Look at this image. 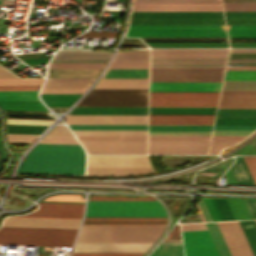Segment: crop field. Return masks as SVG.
Here are the masks:
<instances>
[{"label":"crop field","mask_w":256,"mask_h":256,"mask_svg":"<svg viewBox=\"0 0 256 256\" xmlns=\"http://www.w3.org/2000/svg\"><path fill=\"white\" fill-rule=\"evenodd\" d=\"M117 55H149V50L118 52ZM149 57H115L113 61H148Z\"/></svg>","instance_id":"crop-field-47"},{"label":"crop field","mask_w":256,"mask_h":256,"mask_svg":"<svg viewBox=\"0 0 256 256\" xmlns=\"http://www.w3.org/2000/svg\"><path fill=\"white\" fill-rule=\"evenodd\" d=\"M253 218L256 219V200L244 199Z\"/></svg>","instance_id":"crop-field-67"},{"label":"crop field","mask_w":256,"mask_h":256,"mask_svg":"<svg viewBox=\"0 0 256 256\" xmlns=\"http://www.w3.org/2000/svg\"><path fill=\"white\" fill-rule=\"evenodd\" d=\"M256 183V157H243Z\"/></svg>","instance_id":"crop-field-63"},{"label":"crop field","mask_w":256,"mask_h":256,"mask_svg":"<svg viewBox=\"0 0 256 256\" xmlns=\"http://www.w3.org/2000/svg\"><path fill=\"white\" fill-rule=\"evenodd\" d=\"M129 24L224 25L223 19H131Z\"/></svg>","instance_id":"crop-field-22"},{"label":"crop field","mask_w":256,"mask_h":256,"mask_svg":"<svg viewBox=\"0 0 256 256\" xmlns=\"http://www.w3.org/2000/svg\"><path fill=\"white\" fill-rule=\"evenodd\" d=\"M84 90L85 89H42L41 93H83Z\"/></svg>","instance_id":"crop-field-64"},{"label":"crop field","mask_w":256,"mask_h":256,"mask_svg":"<svg viewBox=\"0 0 256 256\" xmlns=\"http://www.w3.org/2000/svg\"><path fill=\"white\" fill-rule=\"evenodd\" d=\"M68 124H147V116L67 115Z\"/></svg>","instance_id":"crop-field-15"},{"label":"crop field","mask_w":256,"mask_h":256,"mask_svg":"<svg viewBox=\"0 0 256 256\" xmlns=\"http://www.w3.org/2000/svg\"><path fill=\"white\" fill-rule=\"evenodd\" d=\"M89 200H155L153 197H143V198H129V197H110V196H93Z\"/></svg>","instance_id":"crop-field-57"},{"label":"crop field","mask_w":256,"mask_h":256,"mask_svg":"<svg viewBox=\"0 0 256 256\" xmlns=\"http://www.w3.org/2000/svg\"><path fill=\"white\" fill-rule=\"evenodd\" d=\"M101 70L102 69H49V77H97Z\"/></svg>","instance_id":"crop-field-27"},{"label":"crop field","mask_w":256,"mask_h":256,"mask_svg":"<svg viewBox=\"0 0 256 256\" xmlns=\"http://www.w3.org/2000/svg\"><path fill=\"white\" fill-rule=\"evenodd\" d=\"M39 86H3L0 90H38Z\"/></svg>","instance_id":"crop-field-66"},{"label":"crop field","mask_w":256,"mask_h":256,"mask_svg":"<svg viewBox=\"0 0 256 256\" xmlns=\"http://www.w3.org/2000/svg\"><path fill=\"white\" fill-rule=\"evenodd\" d=\"M226 181L228 184H237L230 169L227 170V172L224 174Z\"/></svg>","instance_id":"crop-field-73"},{"label":"crop field","mask_w":256,"mask_h":256,"mask_svg":"<svg viewBox=\"0 0 256 256\" xmlns=\"http://www.w3.org/2000/svg\"><path fill=\"white\" fill-rule=\"evenodd\" d=\"M40 143L78 144L73 136L47 135Z\"/></svg>","instance_id":"crop-field-48"},{"label":"crop field","mask_w":256,"mask_h":256,"mask_svg":"<svg viewBox=\"0 0 256 256\" xmlns=\"http://www.w3.org/2000/svg\"><path fill=\"white\" fill-rule=\"evenodd\" d=\"M0 101H39L37 91H0Z\"/></svg>","instance_id":"crop-field-31"},{"label":"crop field","mask_w":256,"mask_h":256,"mask_svg":"<svg viewBox=\"0 0 256 256\" xmlns=\"http://www.w3.org/2000/svg\"><path fill=\"white\" fill-rule=\"evenodd\" d=\"M148 90L91 89L77 106H147Z\"/></svg>","instance_id":"crop-field-7"},{"label":"crop field","mask_w":256,"mask_h":256,"mask_svg":"<svg viewBox=\"0 0 256 256\" xmlns=\"http://www.w3.org/2000/svg\"><path fill=\"white\" fill-rule=\"evenodd\" d=\"M86 216L166 217L158 201H88Z\"/></svg>","instance_id":"crop-field-5"},{"label":"crop field","mask_w":256,"mask_h":256,"mask_svg":"<svg viewBox=\"0 0 256 256\" xmlns=\"http://www.w3.org/2000/svg\"><path fill=\"white\" fill-rule=\"evenodd\" d=\"M143 254L73 253L72 256H142Z\"/></svg>","instance_id":"crop-field-62"},{"label":"crop field","mask_w":256,"mask_h":256,"mask_svg":"<svg viewBox=\"0 0 256 256\" xmlns=\"http://www.w3.org/2000/svg\"><path fill=\"white\" fill-rule=\"evenodd\" d=\"M152 47H228L227 43H147Z\"/></svg>","instance_id":"crop-field-37"},{"label":"crop field","mask_w":256,"mask_h":256,"mask_svg":"<svg viewBox=\"0 0 256 256\" xmlns=\"http://www.w3.org/2000/svg\"><path fill=\"white\" fill-rule=\"evenodd\" d=\"M222 90H256V81H224Z\"/></svg>","instance_id":"crop-field-41"},{"label":"crop field","mask_w":256,"mask_h":256,"mask_svg":"<svg viewBox=\"0 0 256 256\" xmlns=\"http://www.w3.org/2000/svg\"><path fill=\"white\" fill-rule=\"evenodd\" d=\"M231 47H256V43H230Z\"/></svg>","instance_id":"crop-field-74"},{"label":"crop field","mask_w":256,"mask_h":256,"mask_svg":"<svg viewBox=\"0 0 256 256\" xmlns=\"http://www.w3.org/2000/svg\"><path fill=\"white\" fill-rule=\"evenodd\" d=\"M221 82H150V91H219Z\"/></svg>","instance_id":"crop-field-17"},{"label":"crop field","mask_w":256,"mask_h":256,"mask_svg":"<svg viewBox=\"0 0 256 256\" xmlns=\"http://www.w3.org/2000/svg\"><path fill=\"white\" fill-rule=\"evenodd\" d=\"M224 80H256V71H226Z\"/></svg>","instance_id":"crop-field-44"},{"label":"crop field","mask_w":256,"mask_h":256,"mask_svg":"<svg viewBox=\"0 0 256 256\" xmlns=\"http://www.w3.org/2000/svg\"><path fill=\"white\" fill-rule=\"evenodd\" d=\"M256 221V220H255Z\"/></svg>","instance_id":"crop-field-81"},{"label":"crop field","mask_w":256,"mask_h":256,"mask_svg":"<svg viewBox=\"0 0 256 256\" xmlns=\"http://www.w3.org/2000/svg\"><path fill=\"white\" fill-rule=\"evenodd\" d=\"M14 1L15 0H3L2 5H0V7L1 6H13Z\"/></svg>","instance_id":"crop-field-75"},{"label":"crop field","mask_w":256,"mask_h":256,"mask_svg":"<svg viewBox=\"0 0 256 256\" xmlns=\"http://www.w3.org/2000/svg\"><path fill=\"white\" fill-rule=\"evenodd\" d=\"M0 78H18V77L0 66Z\"/></svg>","instance_id":"crop-field-72"},{"label":"crop field","mask_w":256,"mask_h":256,"mask_svg":"<svg viewBox=\"0 0 256 256\" xmlns=\"http://www.w3.org/2000/svg\"><path fill=\"white\" fill-rule=\"evenodd\" d=\"M88 153H146V141H81Z\"/></svg>","instance_id":"crop-field-11"},{"label":"crop field","mask_w":256,"mask_h":256,"mask_svg":"<svg viewBox=\"0 0 256 256\" xmlns=\"http://www.w3.org/2000/svg\"><path fill=\"white\" fill-rule=\"evenodd\" d=\"M81 220L8 217L3 226L78 229Z\"/></svg>","instance_id":"crop-field-16"},{"label":"crop field","mask_w":256,"mask_h":256,"mask_svg":"<svg viewBox=\"0 0 256 256\" xmlns=\"http://www.w3.org/2000/svg\"><path fill=\"white\" fill-rule=\"evenodd\" d=\"M170 234L180 235V227L178 224L172 229Z\"/></svg>","instance_id":"crop-field-76"},{"label":"crop field","mask_w":256,"mask_h":256,"mask_svg":"<svg viewBox=\"0 0 256 256\" xmlns=\"http://www.w3.org/2000/svg\"><path fill=\"white\" fill-rule=\"evenodd\" d=\"M245 237L252 249L254 256H256V223L254 220L238 221Z\"/></svg>","instance_id":"crop-field-35"},{"label":"crop field","mask_w":256,"mask_h":256,"mask_svg":"<svg viewBox=\"0 0 256 256\" xmlns=\"http://www.w3.org/2000/svg\"><path fill=\"white\" fill-rule=\"evenodd\" d=\"M216 107H150V114H214Z\"/></svg>","instance_id":"crop-field-25"},{"label":"crop field","mask_w":256,"mask_h":256,"mask_svg":"<svg viewBox=\"0 0 256 256\" xmlns=\"http://www.w3.org/2000/svg\"><path fill=\"white\" fill-rule=\"evenodd\" d=\"M224 220H233L234 217L225 199L214 198Z\"/></svg>","instance_id":"crop-field-51"},{"label":"crop field","mask_w":256,"mask_h":256,"mask_svg":"<svg viewBox=\"0 0 256 256\" xmlns=\"http://www.w3.org/2000/svg\"><path fill=\"white\" fill-rule=\"evenodd\" d=\"M16 56H17L18 58H20V59L35 57L34 54H21V55H16Z\"/></svg>","instance_id":"crop-field-77"},{"label":"crop field","mask_w":256,"mask_h":256,"mask_svg":"<svg viewBox=\"0 0 256 256\" xmlns=\"http://www.w3.org/2000/svg\"><path fill=\"white\" fill-rule=\"evenodd\" d=\"M209 141H149L148 153L206 154Z\"/></svg>","instance_id":"crop-field-9"},{"label":"crop field","mask_w":256,"mask_h":256,"mask_svg":"<svg viewBox=\"0 0 256 256\" xmlns=\"http://www.w3.org/2000/svg\"><path fill=\"white\" fill-rule=\"evenodd\" d=\"M81 94H41L48 106H70Z\"/></svg>","instance_id":"crop-field-30"},{"label":"crop field","mask_w":256,"mask_h":256,"mask_svg":"<svg viewBox=\"0 0 256 256\" xmlns=\"http://www.w3.org/2000/svg\"><path fill=\"white\" fill-rule=\"evenodd\" d=\"M167 218L85 217L84 220H166Z\"/></svg>","instance_id":"crop-field-55"},{"label":"crop field","mask_w":256,"mask_h":256,"mask_svg":"<svg viewBox=\"0 0 256 256\" xmlns=\"http://www.w3.org/2000/svg\"><path fill=\"white\" fill-rule=\"evenodd\" d=\"M38 135L7 134L8 142L31 143Z\"/></svg>","instance_id":"crop-field-53"},{"label":"crop field","mask_w":256,"mask_h":256,"mask_svg":"<svg viewBox=\"0 0 256 256\" xmlns=\"http://www.w3.org/2000/svg\"><path fill=\"white\" fill-rule=\"evenodd\" d=\"M45 200L84 201V199H81V196L78 195H57L48 197Z\"/></svg>","instance_id":"crop-field-61"},{"label":"crop field","mask_w":256,"mask_h":256,"mask_svg":"<svg viewBox=\"0 0 256 256\" xmlns=\"http://www.w3.org/2000/svg\"><path fill=\"white\" fill-rule=\"evenodd\" d=\"M112 52L94 50L59 51L54 59H109ZM53 61H108V60H53Z\"/></svg>","instance_id":"crop-field-23"},{"label":"crop field","mask_w":256,"mask_h":256,"mask_svg":"<svg viewBox=\"0 0 256 256\" xmlns=\"http://www.w3.org/2000/svg\"><path fill=\"white\" fill-rule=\"evenodd\" d=\"M210 199H211V201H212V203H213V205H214V207H215V209H216V211H217V213H218L220 219L223 220L222 217H221V215H220V212H219V210H218V208H217V206H216V203H215L214 199H213V198H210ZM218 215H217V216H218ZM219 217H218V218H219ZM220 219H219V220H220Z\"/></svg>","instance_id":"crop-field-78"},{"label":"crop field","mask_w":256,"mask_h":256,"mask_svg":"<svg viewBox=\"0 0 256 256\" xmlns=\"http://www.w3.org/2000/svg\"><path fill=\"white\" fill-rule=\"evenodd\" d=\"M69 114L147 115V107H75Z\"/></svg>","instance_id":"crop-field-20"},{"label":"crop field","mask_w":256,"mask_h":256,"mask_svg":"<svg viewBox=\"0 0 256 256\" xmlns=\"http://www.w3.org/2000/svg\"><path fill=\"white\" fill-rule=\"evenodd\" d=\"M1 109L47 110L41 102H0Z\"/></svg>","instance_id":"crop-field-36"},{"label":"crop field","mask_w":256,"mask_h":256,"mask_svg":"<svg viewBox=\"0 0 256 256\" xmlns=\"http://www.w3.org/2000/svg\"><path fill=\"white\" fill-rule=\"evenodd\" d=\"M256 126L215 125L214 130H254Z\"/></svg>","instance_id":"crop-field-58"},{"label":"crop field","mask_w":256,"mask_h":256,"mask_svg":"<svg viewBox=\"0 0 256 256\" xmlns=\"http://www.w3.org/2000/svg\"><path fill=\"white\" fill-rule=\"evenodd\" d=\"M198 204H199V206H200V208H201V210H202V213H203V215H204L205 220H206V221H212L211 218H210V216H209V213H208V211H207V208H206V206H205V204H204L203 199H201V200L198 202Z\"/></svg>","instance_id":"crop-field-71"},{"label":"crop field","mask_w":256,"mask_h":256,"mask_svg":"<svg viewBox=\"0 0 256 256\" xmlns=\"http://www.w3.org/2000/svg\"><path fill=\"white\" fill-rule=\"evenodd\" d=\"M131 18H223L222 12H132Z\"/></svg>","instance_id":"crop-field-21"},{"label":"crop field","mask_w":256,"mask_h":256,"mask_svg":"<svg viewBox=\"0 0 256 256\" xmlns=\"http://www.w3.org/2000/svg\"><path fill=\"white\" fill-rule=\"evenodd\" d=\"M40 209L21 217L81 219L84 204L39 203Z\"/></svg>","instance_id":"crop-field-14"},{"label":"crop field","mask_w":256,"mask_h":256,"mask_svg":"<svg viewBox=\"0 0 256 256\" xmlns=\"http://www.w3.org/2000/svg\"><path fill=\"white\" fill-rule=\"evenodd\" d=\"M218 108H256V91H222Z\"/></svg>","instance_id":"crop-field-18"},{"label":"crop field","mask_w":256,"mask_h":256,"mask_svg":"<svg viewBox=\"0 0 256 256\" xmlns=\"http://www.w3.org/2000/svg\"><path fill=\"white\" fill-rule=\"evenodd\" d=\"M127 37H227L224 26L129 25Z\"/></svg>","instance_id":"crop-field-6"},{"label":"crop field","mask_w":256,"mask_h":256,"mask_svg":"<svg viewBox=\"0 0 256 256\" xmlns=\"http://www.w3.org/2000/svg\"><path fill=\"white\" fill-rule=\"evenodd\" d=\"M215 124L256 125V109H218Z\"/></svg>","instance_id":"crop-field-19"},{"label":"crop field","mask_w":256,"mask_h":256,"mask_svg":"<svg viewBox=\"0 0 256 256\" xmlns=\"http://www.w3.org/2000/svg\"><path fill=\"white\" fill-rule=\"evenodd\" d=\"M78 230L1 227L0 244L71 246Z\"/></svg>","instance_id":"crop-field-3"},{"label":"crop field","mask_w":256,"mask_h":256,"mask_svg":"<svg viewBox=\"0 0 256 256\" xmlns=\"http://www.w3.org/2000/svg\"><path fill=\"white\" fill-rule=\"evenodd\" d=\"M186 256H218L207 230L182 232Z\"/></svg>","instance_id":"crop-field-10"},{"label":"crop field","mask_w":256,"mask_h":256,"mask_svg":"<svg viewBox=\"0 0 256 256\" xmlns=\"http://www.w3.org/2000/svg\"><path fill=\"white\" fill-rule=\"evenodd\" d=\"M79 140H146V136H77Z\"/></svg>","instance_id":"crop-field-45"},{"label":"crop field","mask_w":256,"mask_h":256,"mask_svg":"<svg viewBox=\"0 0 256 256\" xmlns=\"http://www.w3.org/2000/svg\"><path fill=\"white\" fill-rule=\"evenodd\" d=\"M228 49H151V67H224Z\"/></svg>","instance_id":"crop-field-2"},{"label":"crop field","mask_w":256,"mask_h":256,"mask_svg":"<svg viewBox=\"0 0 256 256\" xmlns=\"http://www.w3.org/2000/svg\"><path fill=\"white\" fill-rule=\"evenodd\" d=\"M212 126H149V131H211Z\"/></svg>","instance_id":"crop-field-38"},{"label":"crop field","mask_w":256,"mask_h":256,"mask_svg":"<svg viewBox=\"0 0 256 256\" xmlns=\"http://www.w3.org/2000/svg\"><path fill=\"white\" fill-rule=\"evenodd\" d=\"M102 78H148V69H107Z\"/></svg>","instance_id":"crop-field-28"},{"label":"crop field","mask_w":256,"mask_h":256,"mask_svg":"<svg viewBox=\"0 0 256 256\" xmlns=\"http://www.w3.org/2000/svg\"><path fill=\"white\" fill-rule=\"evenodd\" d=\"M134 2L221 3L220 0H134Z\"/></svg>","instance_id":"crop-field-54"},{"label":"crop field","mask_w":256,"mask_h":256,"mask_svg":"<svg viewBox=\"0 0 256 256\" xmlns=\"http://www.w3.org/2000/svg\"><path fill=\"white\" fill-rule=\"evenodd\" d=\"M232 256H253L237 221L217 222Z\"/></svg>","instance_id":"crop-field-13"},{"label":"crop field","mask_w":256,"mask_h":256,"mask_svg":"<svg viewBox=\"0 0 256 256\" xmlns=\"http://www.w3.org/2000/svg\"><path fill=\"white\" fill-rule=\"evenodd\" d=\"M227 25H256V19H226Z\"/></svg>","instance_id":"crop-field-60"},{"label":"crop field","mask_w":256,"mask_h":256,"mask_svg":"<svg viewBox=\"0 0 256 256\" xmlns=\"http://www.w3.org/2000/svg\"><path fill=\"white\" fill-rule=\"evenodd\" d=\"M151 173V168H88L87 175H135Z\"/></svg>","instance_id":"crop-field-26"},{"label":"crop field","mask_w":256,"mask_h":256,"mask_svg":"<svg viewBox=\"0 0 256 256\" xmlns=\"http://www.w3.org/2000/svg\"><path fill=\"white\" fill-rule=\"evenodd\" d=\"M236 142L238 141H212L209 154H217L221 148Z\"/></svg>","instance_id":"crop-field-56"},{"label":"crop field","mask_w":256,"mask_h":256,"mask_svg":"<svg viewBox=\"0 0 256 256\" xmlns=\"http://www.w3.org/2000/svg\"><path fill=\"white\" fill-rule=\"evenodd\" d=\"M196 207H197V209H198V211H199V214H200L202 220L205 221L204 218H203V216H202V213H201V211H200V208H199L198 204L196 205Z\"/></svg>","instance_id":"crop-field-79"},{"label":"crop field","mask_w":256,"mask_h":256,"mask_svg":"<svg viewBox=\"0 0 256 256\" xmlns=\"http://www.w3.org/2000/svg\"><path fill=\"white\" fill-rule=\"evenodd\" d=\"M246 136H213L212 140H242Z\"/></svg>","instance_id":"crop-field-70"},{"label":"crop field","mask_w":256,"mask_h":256,"mask_svg":"<svg viewBox=\"0 0 256 256\" xmlns=\"http://www.w3.org/2000/svg\"><path fill=\"white\" fill-rule=\"evenodd\" d=\"M49 134H60V135H71L68 129L65 126L58 127L56 126L54 129L51 130Z\"/></svg>","instance_id":"crop-field-68"},{"label":"crop field","mask_w":256,"mask_h":256,"mask_svg":"<svg viewBox=\"0 0 256 256\" xmlns=\"http://www.w3.org/2000/svg\"><path fill=\"white\" fill-rule=\"evenodd\" d=\"M37 146L80 147V145H59V144H38ZM37 148L60 149V150H81V148H59V147H37ZM34 152L83 154V152L47 151V150H34ZM30 156L84 158L83 155L44 154V153H31ZM27 160L84 161L83 159L42 158V157H28ZM19 171L84 173V163L25 161L24 163L21 164Z\"/></svg>","instance_id":"crop-field-4"},{"label":"crop field","mask_w":256,"mask_h":256,"mask_svg":"<svg viewBox=\"0 0 256 256\" xmlns=\"http://www.w3.org/2000/svg\"><path fill=\"white\" fill-rule=\"evenodd\" d=\"M53 120L6 119V124L49 125Z\"/></svg>","instance_id":"crop-field-52"},{"label":"crop field","mask_w":256,"mask_h":256,"mask_svg":"<svg viewBox=\"0 0 256 256\" xmlns=\"http://www.w3.org/2000/svg\"><path fill=\"white\" fill-rule=\"evenodd\" d=\"M210 136H149V140H209Z\"/></svg>","instance_id":"crop-field-50"},{"label":"crop field","mask_w":256,"mask_h":256,"mask_svg":"<svg viewBox=\"0 0 256 256\" xmlns=\"http://www.w3.org/2000/svg\"><path fill=\"white\" fill-rule=\"evenodd\" d=\"M43 79H0V86L3 85H41Z\"/></svg>","instance_id":"crop-field-49"},{"label":"crop field","mask_w":256,"mask_h":256,"mask_svg":"<svg viewBox=\"0 0 256 256\" xmlns=\"http://www.w3.org/2000/svg\"><path fill=\"white\" fill-rule=\"evenodd\" d=\"M95 78H48L43 88H87Z\"/></svg>","instance_id":"crop-field-24"},{"label":"crop field","mask_w":256,"mask_h":256,"mask_svg":"<svg viewBox=\"0 0 256 256\" xmlns=\"http://www.w3.org/2000/svg\"><path fill=\"white\" fill-rule=\"evenodd\" d=\"M230 53H256V50H231ZM229 57H256V54H230ZM228 62H256V59H229ZM228 64H256V63H228Z\"/></svg>","instance_id":"crop-field-46"},{"label":"crop field","mask_w":256,"mask_h":256,"mask_svg":"<svg viewBox=\"0 0 256 256\" xmlns=\"http://www.w3.org/2000/svg\"><path fill=\"white\" fill-rule=\"evenodd\" d=\"M164 241H181V240H164ZM172 243H181V242H172Z\"/></svg>","instance_id":"crop-field-80"},{"label":"crop field","mask_w":256,"mask_h":256,"mask_svg":"<svg viewBox=\"0 0 256 256\" xmlns=\"http://www.w3.org/2000/svg\"><path fill=\"white\" fill-rule=\"evenodd\" d=\"M229 37H256V26H227Z\"/></svg>","instance_id":"crop-field-39"},{"label":"crop field","mask_w":256,"mask_h":256,"mask_svg":"<svg viewBox=\"0 0 256 256\" xmlns=\"http://www.w3.org/2000/svg\"><path fill=\"white\" fill-rule=\"evenodd\" d=\"M219 92H150V106H216Z\"/></svg>","instance_id":"crop-field-8"},{"label":"crop field","mask_w":256,"mask_h":256,"mask_svg":"<svg viewBox=\"0 0 256 256\" xmlns=\"http://www.w3.org/2000/svg\"><path fill=\"white\" fill-rule=\"evenodd\" d=\"M221 256H231L216 222L206 223Z\"/></svg>","instance_id":"crop-field-33"},{"label":"crop field","mask_w":256,"mask_h":256,"mask_svg":"<svg viewBox=\"0 0 256 256\" xmlns=\"http://www.w3.org/2000/svg\"><path fill=\"white\" fill-rule=\"evenodd\" d=\"M236 220L253 219L243 199H226Z\"/></svg>","instance_id":"crop-field-34"},{"label":"crop field","mask_w":256,"mask_h":256,"mask_svg":"<svg viewBox=\"0 0 256 256\" xmlns=\"http://www.w3.org/2000/svg\"><path fill=\"white\" fill-rule=\"evenodd\" d=\"M165 225H83L77 242H155Z\"/></svg>","instance_id":"crop-field-1"},{"label":"crop field","mask_w":256,"mask_h":256,"mask_svg":"<svg viewBox=\"0 0 256 256\" xmlns=\"http://www.w3.org/2000/svg\"><path fill=\"white\" fill-rule=\"evenodd\" d=\"M47 126L7 125L8 133L40 134Z\"/></svg>","instance_id":"crop-field-43"},{"label":"crop field","mask_w":256,"mask_h":256,"mask_svg":"<svg viewBox=\"0 0 256 256\" xmlns=\"http://www.w3.org/2000/svg\"><path fill=\"white\" fill-rule=\"evenodd\" d=\"M151 256H183L181 245H160Z\"/></svg>","instance_id":"crop-field-42"},{"label":"crop field","mask_w":256,"mask_h":256,"mask_svg":"<svg viewBox=\"0 0 256 256\" xmlns=\"http://www.w3.org/2000/svg\"><path fill=\"white\" fill-rule=\"evenodd\" d=\"M182 231L207 229L204 223L181 224Z\"/></svg>","instance_id":"crop-field-65"},{"label":"crop field","mask_w":256,"mask_h":256,"mask_svg":"<svg viewBox=\"0 0 256 256\" xmlns=\"http://www.w3.org/2000/svg\"><path fill=\"white\" fill-rule=\"evenodd\" d=\"M213 221L218 220L209 198H203Z\"/></svg>","instance_id":"crop-field-69"},{"label":"crop field","mask_w":256,"mask_h":256,"mask_svg":"<svg viewBox=\"0 0 256 256\" xmlns=\"http://www.w3.org/2000/svg\"><path fill=\"white\" fill-rule=\"evenodd\" d=\"M238 184H255L242 157L230 167Z\"/></svg>","instance_id":"crop-field-29"},{"label":"crop field","mask_w":256,"mask_h":256,"mask_svg":"<svg viewBox=\"0 0 256 256\" xmlns=\"http://www.w3.org/2000/svg\"><path fill=\"white\" fill-rule=\"evenodd\" d=\"M88 167H151L146 155H88Z\"/></svg>","instance_id":"crop-field-12"},{"label":"crop field","mask_w":256,"mask_h":256,"mask_svg":"<svg viewBox=\"0 0 256 256\" xmlns=\"http://www.w3.org/2000/svg\"><path fill=\"white\" fill-rule=\"evenodd\" d=\"M71 129H147V125H70Z\"/></svg>","instance_id":"crop-field-40"},{"label":"crop field","mask_w":256,"mask_h":256,"mask_svg":"<svg viewBox=\"0 0 256 256\" xmlns=\"http://www.w3.org/2000/svg\"><path fill=\"white\" fill-rule=\"evenodd\" d=\"M75 135H146L147 130H72Z\"/></svg>","instance_id":"crop-field-32"},{"label":"crop field","mask_w":256,"mask_h":256,"mask_svg":"<svg viewBox=\"0 0 256 256\" xmlns=\"http://www.w3.org/2000/svg\"><path fill=\"white\" fill-rule=\"evenodd\" d=\"M226 18H256V12H225Z\"/></svg>","instance_id":"crop-field-59"}]
</instances>
